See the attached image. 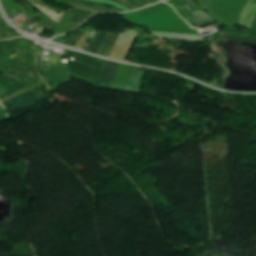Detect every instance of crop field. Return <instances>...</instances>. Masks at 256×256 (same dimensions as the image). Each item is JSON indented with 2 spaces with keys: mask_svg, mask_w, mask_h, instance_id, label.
Segmentation results:
<instances>
[{
  "mask_svg": "<svg viewBox=\"0 0 256 256\" xmlns=\"http://www.w3.org/2000/svg\"><path fill=\"white\" fill-rule=\"evenodd\" d=\"M16 52H20V54L17 55ZM10 57L19 60L18 64L21 66L26 67V65L29 64L35 68L37 67L33 44L31 40L27 38H21L19 44Z\"/></svg>",
  "mask_w": 256,
  "mask_h": 256,
  "instance_id": "8a807250",
  "label": "crop field"
},
{
  "mask_svg": "<svg viewBox=\"0 0 256 256\" xmlns=\"http://www.w3.org/2000/svg\"><path fill=\"white\" fill-rule=\"evenodd\" d=\"M69 62H70V71L72 74L97 84V76L100 72L99 70L75 61L69 60Z\"/></svg>",
  "mask_w": 256,
  "mask_h": 256,
  "instance_id": "ac0d7876",
  "label": "crop field"
},
{
  "mask_svg": "<svg viewBox=\"0 0 256 256\" xmlns=\"http://www.w3.org/2000/svg\"><path fill=\"white\" fill-rule=\"evenodd\" d=\"M37 101V97L31 92L24 93L20 96H17L2 105L5 106L6 110L10 109H16V108H21L26 105L32 104Z\"/></svg>",
  "mask_w": 256,
  "mask_h": 256,
  "instance_id": "34b2d1b8",
  "label": "crop field"
},
{
  "mask_svg": "<svg viewBox=\"0 0 256 256\" xmlns=\"http://www.w3.org/2000/svg\"><path fill=\"white\" fill-rule=\"evenodd\" d=\"M0 84L8 91V92L0 95V99L18 91V90L26 88V86L18 79L14 78L10 75H4V74L0 77Z\"/></svg>",
  "mask_w": 256,
  "mask_h": 256,
  "instance_id": "412701ff",
  "label": "crop field"
},
{
  "mask_svg": "<svg viewBox=\"0 0 256 256\" xmlns=\"http://www.w3.org/2000/svg\"><path fill=\"white\" fill-rule=\"evenodd\" d=\"M255 15H256V0H248L247 4L245 5L242 11L238 25H242L250 29Z\"/></svg>",
  "mask_w": 256,
  "mask_h": 256,
  "instance_id": "f4fd0767",
  "label": "crop field"
},
{
  "mask_svg": "<svg viewBox=\"0 0 256 256\" xmlns=\"http://www.w3.org/2000/svg\"><path fill=\"white\" fill-rule=\"evenodd\" d=\"M145 74H146V71L134 67L131 78L128 82V85L125 91L140 94V89H141V85H142Z\"/></svg>",
  "mask_w": 256,
  "mask_h": 256,
  "instance_id": "dd49c442",
  "label": "crop field"
},
{
  "mask_svg": "<svg viewBox=\"0 0 256 256\" xmlns=\"http://www.w3.org/2000/svg\"><path fill=\"white\" fill-rule=\"evenodd\" d=\"M118 65V63L108 61L99 74L98 82L111 85Z\"/></svg>",
  "mask_w": 256,
  "mask_h": 256,
  "instance_id": "e52e79f7",
  "label": "crop field"
},
{
  "mask_svg": "<svg viewBox=\"0 0 256 256\" xmlns=\"http://www.w3.org/2000/svg\"><path fill=\"white\" fill-rule=\"evenodd\" d=\"M67 54L72 56L73 58H75L76 61L83 62V63H85L89 66L96 67V68H99V69H101V67L105 63V61H103L101 59H98V58H95V57H92V56H89V55L77 53V52H74V51H70V50H67Z\"/></svg>",
  "mask_w": 256,
  "mask_h": 256,
  "instance_id": "d8731c3e",
  "label": "crop field"
},
{
  "mask_svg": "<svg viewBox=\"0 0 256 256\" xmlns=\"http://www.w3.org/2000/svg\"><path fill=\"white\" fill-rule=\"evenodd\" d=\"M29 1L33 6L41 9V10H50V11H53V12H57V11H61L62 13H64L65 11L55 7V6H50V5H47L45 4L44 2H42L41 0H27ZM50 11H42L43 13H45L46 15H48L50 18L56 20V21H59V19H56L58 16H62V14H55V13H52Z\"/></svg>",
  "mask_w": 256,
  "mask_h": 256,
  "instance_id": "5a996713",
  "label": "crop field"
},
{
  "mask_svg": "<svg viewBox=\"0 0 256 256\" xmlns=\"http://www.w3.org/2000/svg\"><path fill=\"white\" fill-rule=\"evenodd\" d=\"M20 38L21 37L6 40V41H0V55L8 58L9 55L12 53V51L15 49V47L18 44ZM4 45H6V47H3Z\"/></svg>",
  "mask_w": 256,
  "mask_h": 256,
  "instance_id": "3316defc",
  "label": "crop field"
},
{
  "mask_svg": "<svg viewBox=\"0 0 256 256\" xmlns=\"http://www.w3.org/2000/svg\"><path fill=\"white\" fill-rule=\"evenodd\" d=\"M70 12H74V28L94 14V12L81 10L77 8L72 9Z\"/></svg>",
  "mask_w": 256,
  "mask_h": 256,
  "instance_id": "28ad6ade",
  "label": "crop field"
},
{
  "mask_svg": "<svg viewBox=\"0 0 256 256\" xmlns=\"http://www.w3.org/2000/svg\"><path fill=\"white\" fill-rule=\"evenodd\" d=\"M0 33L8 35L9 38L22 36V35L18 34L17 32L12 31V30H10L6 27H3V26H0ZM0 39H8V38L0 36Z\"/></svg>",
  "mask_w": 256,
  "mask_h": 256,
  "instance_id": "d1516ede",
  "label": "crop field"
},
{
  "mask_svg": "<svg viewBox=\"0 0 256 256\" xmlns=\"http://www.w3.org/2000/svg\"><path fill=\"white\" fill-rule=\"evenodd\" d=\"M69 2L78 3V4H84V5H88V6H92V7H95V8L108 10V11H116L114 9H111V8L107 7V6L91 4V3H87V2H83V1H78V0H69Z\"/></svg>",
  "mask_w": 256,
  "mask_h": 256,
  "instance_id": "22f410ed",
  "label": "crop field"
},
{
  "mask_svg": "<svg viewBox=\"0 0 256 256\" xmlns=\"http://www.w3.org/2000/svg\"><path fill=\"white\" fill-rule=\"evenodd\" d=\"M105 35H106V32H100V34H99V36H98V38H97V40H96L92 50H91V53H94V54L97 53V51H98V49H99V47H100V45H101Z\"/></svg>",
  "mask_w": 256,
  "mask_h": 256,
  "instance_id": "cbeb9de0",
  "label": "crop field"
},
{
  "mask_svg": "<svg viewBox=\"0 0 256 256\" xmlns=\"http://www.w3.org/2000/svg\"><path fill=\"white\" fill-rule=\"evenodd\" d=\"M125 2H127L128 4L136 7V8H139V7H143V6H146L148 4H151L148 0H134L135 2H137L138 4H140L141 6H139L138 4L132 2L131 0H123Z\"/></svg>",
  "mask_w": 256,
  "mask_h": 256,
  "instance_id": "5142ce71",
  "label": "crop field"
},
{
  "mask_svg": "<svg viewBox=\"0 0 256 256\" xmlns=\"http://www.w3.org/2000/svg\"><path fill=\"white\" fill-rule=\"evenodd\" d=\"M119 34H120V33H119ZM119 34L114 35V37H113V39H112V41H111V43H110V45H109V47H108V49H107V51H106V53H105L104 56L108 57V55H109L111 49L113 48V46H114V44H115V42H116V40H117Z\"/></svg>",
  "mask_w": 256,
  "mask_h": 256,
  "instance_id": "d9b57169",
  "label": "crop field"
},
{
  "mask_svg": "<svg viewBox=\"0 0 256 256\" xmlns=\"http://www.w3.org/2000/svg\"><path fill=\"white\" fill-rule=\"evenodd\" d=\"M113 35H114V33H110V35H109V37H108L106 43L104 44V46H103V48H102V50H101V52H100V55H102V56L104 55V53H105V51H106V49H107V47H108V45H109V43H110V41H111Z\"/></svg>",
  "mask_w": 256,
  "mask_h": 256,
  "instance_id": "733c2abd",
  "label": "crop field"
},
{
  "mask_svg": "<svg viewBox=\"0 0 256 256\" xmlns=\"http://www.w3.org/2000/svg\"><path fill=\"white\" fill-rule=\"evenodd\" d=\"M69 6H74V7H79V8L90 9V10H94V11H97V12L104 11V10H99V9L91 8V7H88V6L77 5V4H71V3H69Z\"/></svg>",
  "mask_w": 256,
  "mask_h": 256,
  "instance_id": "4a817a6b",
  "label": "crop field"
},
{
  "mask_svg": "<svg viewBox=\"0 0 256 256\" xmlns=\"http://www.w3.org/2000/svg\"><path fill=\"white\" fill-rule=\"evenodd\" d=\"M112 1H114V2H116V3H118V4L122 5V6H124V7L128 8V9H130V10L135 9L134 7H132V6L128 5V4H126L125 2H123V1H121V0H112Z\"/></svg>",
  "mask_w": 256,
  "mask_h": 256,
  "instance_id": "bc2a9ffb",
  "label": "crop field"
},
{
  "mask_svg": "<svg viewBox=\"0 0 256 256\" xmlns=\"http://www.w3.org/2000/svg\"><path fill=\"white\" fill-rule=\"evenodd\" d=\"M0 25L6 26V27H10L5 20L3 19L1 12H0ZM11 28V27H10Z\"/></svg>",
  "mask_w": 256,
  "mask_h": 256,
  "instance_id": "214f88e0",
  "label": "crop field"
},
{
  "mask_svg": "<svg viewBox=\"0 0 256 256\" xmlns=\"http://www.w3.org/2000/svg\"><path fill=\"white\" fill-rule=\"evenodd\" d=\"M85 33V31H83L71 44L70 46L72 47L78 40L79 38Z\"/></svg>",
  "mask_w": 256,
  "mask_h": 256,
  "instance_id": "92a150f3",
  "label": "crop field"
},
{
  "mask_svg": "<svg viewBox=\"0 0 256 256\" xmlns=\"http://www.w3.org/2000/svg\"><path fill=\"white\" fill-rule=\"evenodd\" d=\"M108 35H109V33H107V35H106V37H105V39H104V41H103V43H102V45H101V47H100V49H99L98 53H97V55L99 54V52H100V50H101V48H102L103 44L105 43V41H106V39H107Z\"/></svg>",
  "mask_w": 256,
  "mask_h": 256,
  "instance_id": "dafd665d",
  "label": "crop field"
},
{
  "mask_svg": "<svg viewBox=\"0 0 256 256\" xmlns=\"http://www.w3.org/2000/svg\"><path fill=\"white\" fill-rule=\"evenodd\" d=\"M81 32H82V31H79V32L74 36V38H73L69 43H67L66 45L68 46Z\"/></svg>",
  "mask_w": 256,
  "mask_h": 256,
  "instance_id": "00972430",
  "label": "crop field"
},
{
  "mask_svg": "<svg viewBox=\"0 0 256 256\" xmlns=\"http://www.w3.org/2000/svg\"><path fill=\"white\" fill-rule=\"evenodd\" d=\"M0 106H1V104H0Z\"/></svg>",
  "mask_w": 256,
  "mask_h": 256,
  "instance_id": "a9b5d70f",
  "label": "crop field"
}]
</instances>
